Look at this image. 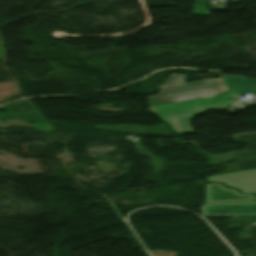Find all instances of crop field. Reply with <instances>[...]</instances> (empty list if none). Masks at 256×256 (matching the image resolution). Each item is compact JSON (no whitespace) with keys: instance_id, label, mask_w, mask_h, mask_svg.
<instances>
[{"instance_id":"1","label":"crop field","mask_w":256,"mask_h":256,"mask_svg":"<svg viewBox=\"0 0 256 256\" xmlns=\"http://www.w3.org/2000/svg\"><path fill=\"white\" fill-rule=\"evenodd\" d=\"M186 76L170 73L159 94L147 97L148 105L207 99L227 90L221 78L185 82Z\"/></svg>"},{"instance_id":"2","label":"crop field","mask_w":256,"mask_h":256,"mask_svg":"<svg viewBox=\"0 0 256 256\" xmlns=\"http://www.w3.org/2000/svg\"><path fill=\"white\" fill-rule=\"evenodd\" d=\"M226 92L218 94L211 99L152 106L159 118L167 123L177 134L190 133V118L206 110L223 109L229 105L231 110L245 109L244 105L230 101Z\"/></svg>"},{"instance_id":"3","label":"crop field","mask_w":256,"mask_h":256,"mask_svg":"<svg viewBox=\"0 0 256 256\" xmlns=\"http://www.w3.org/2000/svg\"><path fill=\"white\" fill-rule=\"evenodd\" d=\"M229 96L256 93V78H245L238 75H221Z\"/></svg>"},{"instance_id":"4","label":"crop field","mask_w":256,"mask_h":256,"mask_svg":"<svg viewBox=\"0 0 256 256\" xmlns=\"http://www.w3.org/2000/svg\"><path fill=\"white\" fill-rule=\"evenodd\" d=\"M210 0H196L193 15H209L210 10L207 9Z\"/></svg>"}]
</instances>
